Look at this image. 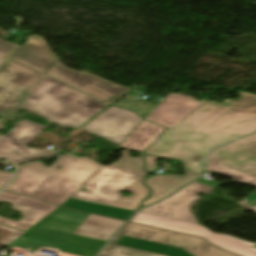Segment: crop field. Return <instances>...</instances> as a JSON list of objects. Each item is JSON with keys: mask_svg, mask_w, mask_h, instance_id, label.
I'll list each match as a JSON object with an SVG mask.
<instances>
[{"mask_svg": "<svg viewBox=\"0 0 256 256\" xmlns=\"http://www.w3.org/2000/svg\"><path fill=\"white\" fill-rule=\"evenodd\" d=\"M241 98L222 103L209 100L173 129H168L146 152L184 162L200 173L207 152L256 131V95L240 91Z\"/></svg>", "mask_w": 256, "mask_h": 256, "instance_id": "crop-field-1", "label": "crop field"}, {"mask_svg": "<svg viewBox=\"0 0 256 256\" xmlns=\"http://www.w3.org/2000/svg\"><path fill=\"white\" fill-rule=\"evenodd\" d=\"M42 38L31 36L24 47L17 45L0 67V118L12 120L30 96L27 91L47 74L108 104L130 90L68 69Z\"/></svg>", "mask_w": 256, "mask_h": 256, "instance_id": "crop-field-2", "label": "crop field"}, {"mask_svg": "<svg viewBox=\"0 0 256 256\" xmlns=\"http://www.w3.org/2000/svg\"><path fill=\"white\" fill-rule=\"evenodd\" d=\"M62 165L59 171L57 167ZM100 163L73 155L61 156L50 168L36 162L21 166L5 190L25 194L57 205L67 201L100 167ZM39 170H42L39 172Z\"/></svg>", "mask_w": 256, "mask_h": 256, "instance_id": "crop-field-3", "label": "crop field"}, {"mask_svg": "<svg viewBox=\"0 0 256 256\" xmlns=\"http://www.w3.org/2000/svg\"><path fill=\"white\" fill-rule=\"evenodd\" d=\"M98 256H236L201 238L128 223Z\"/></svg>", "mask_w": 256, "mask_h": 256, "instance_id": "crop-field-4", "label": "crop field"}, {"mask_svg": "<svg viewBox=\"0 0 256 256\" xmlns=\"http://www.w3.org/2000/svg\"><path fill=\"white\" fill-rule=\"evenodd\" d=\"M143 167L142 154L140 158H129V150L122 151L120 160L101 166L72 197L135 210L149 193L141 184L147 175ZM83 187L89 192L80 191ZM122 190H129L133 195L122 196L119 194Z\"/></svg>", "mask_w": 256, "mask_h": 256, "instance_id": "crop-field-5", "label": "crop field"}, {"mask_svg": "<svg viewBox=\"0 0 256 256\" xmlns=\"http://www.w3.org/2000/svg\"><path fill=\"white\" fill-rule=\"evenodd\" d=\"M29 92L32 94L23 108L62 127L81 126L108 106L48 76Z\"/></svg>", "mask_w": 256, "mask_h": 256, "instance_id": "crop-field-6", "label": "crop field"}, {"mask_svg": "<svg viewBox=\"0 0 256 256\" xmlns=\"http://www.w3.org/2000/svg\"><path fill=\"white\" fill-rule=\"evenodd\" d=\"M124 223L59 207L29 232L101 248Z\"/></svg>", "mask_w": 256, "mask_h": 256, "instance_id": "crop-field-7", "label": "crop field"}, {"mask_svg": "<svg viewBox=\"0 0 256 256\" xmlns=\"http://www.w3.org/2000/svg\"><path fill=\"white\" fill-rule=\"evenodd\" d=\"M131 222L196 235L199 237H203L214 245H217L220 248L231 251L233 253L242 256H256V248L234 241L219 234H215L198 224L169 219L141 212H138L131 220Z\"/></svg>", "mask_w": 256, "mask_h": 256, "instance_id": "crop-field-8", "label": "crop field"}, {"mask_svg": "<svg viewBox=\"0 0 256 256\" xmlns=\"http://www.w3.org/2000/svg\"><path fill=\"white\" fill-rule=\"evenodd\" d=\"M43 126L20 121L6 136L0 135V157L14 164L54 156L56 151L26 148L23 144L34 138ZM11 138H8V137Z\"/></svg>", "mask_w": 256, "mask_h": 256, "instance_id": "crop-field-9", "label": "crop field"}, {"mask_svg": "<svg viewBox=\"0 0 256 256\" xmlns=\"http://www.w3.org/2000/svg\"><path fill=\"white\" fill-rule=\"evenodd\" d=\"M142 120L134 112L111 106L86 126L84 125L85 127L81 130L120 144L134 131Z\"/></svg>", "mask_w": 256, "mask_h": 256, "instance_id": "crop-field-10", "label": "crop field"}, {"mask_svg": "<svg viewBox=\"0 0 256 256\" xmlns=\"http://www.w3.org/2000/svg\"><path fill=\"white\" fill-rule=\"evenodd\" d=\"M212 190L213 189L210 187L195 182L175 195L154 204L141 212L198 223L191 208L195 206V202L201 198L197 196L198 193L206 195L211 193ZM174 203H176V205H173Z\"/></svg>", "mask_w": 256, "mask_h": 256, "instance_id": "crop-field-11", "label": "crop field"}, {"mask_svg": "<svg viewBox=\"0 0 256 256\" xmlns=\"http://www.w3.org/2000/svg\"><path fill=\"white\" fill-rule=\"evenodd\" d=\"M209 160L256 176V134L216 150Z\"/></svg>", "mask_w": 256, "mask_h": 256, "instance_id": "crop-field-12", "label": "crop field"}, {"mask_svg": "<svg viewBox=\"0 0 256 256\" xmlns=\"http://www.w3.org/2000/svg\"><path fill=\"white\" fill-rule=\"evenodd\" d=\"M206 101L199 103L187 96L169 93L146 120L172 128Z\"/></svg>", "mask_w": 256, "mask_h": 256, "instance_id": "crop-field-13", "label": "crop field"}, {"mask_svg": "<svg viewBox=\"0 0 256 256\" xmlns=\"http://www.w3.org/2000/svg\"><path fill=\"white\" fill-rule=\"evenodd\" d=\"M0 201L14 204L12 208L24 214L23 219L19 222L0 217V223L24 231L30 229L33 225L58 208L57 206L5 191L0 194Z\"/></svg>", "mask_w": 256, "mask_h": 256, "instance_id": "crop-field-14", "label": "crop field"}, {"mask_svg": "<svg viewBox=\"0 0 256 256\" xmlns=\"http://www.w3.org/2000/svg\"><path fill=\"white\" fill-rule=\"evenodd\" d=\"M184 171L186 175L155 176L145 180V184L152 188V196L150 199L143 202L142 207L167 196L171 192L198 177V175L190 171Z\"/></svg>", "mask_w": 256, "mask_h": 256, "instance_id": "crop-field-15", "label": "crop field"}, {"mask_svg": "<svg viewBox=\"0 0 256 256\" xmlns=\"http://www.w3.org/2000/svg\"><path fill=\"white\" fill-rule=\"evenodd\" d=\"M165 128L143 120L120 147L144 152Z\"/></svg>", "mask_w": 256, "mask_h": 256, "instance_id": "crop-field-16", "label": "crop field"}, {"mask_svg": "<svg viewBox=\"0 0 256 256\" xmlns=\"http://www.w3.org/2000/svg\"><path fill=\"white\" fill-rule=\"evenodd\" d=\"M62 206L78 209L82 211L92 212L96 214L106 215L110 217L120 218L124 220H127L131 216V214L134 212L132 210L105 206V205L77 200L73 198H70Z\"/></svg>", "mask_w": 256, "mask_h": 256, "instance_id": "crop-field-17", "label": "crop field"}, {"mask_svg": "<svg viewBox=\"0 0 256 256\" xmlns=\"http://www.w3.org/2000/svg\"><path fill=\"white\" fill-rule=\"evenodd\" d=\"M207 171L227 175L233 177L234 181L249 184L256 187V177L245 174L243 172L222 166L220 164L208 161Z\"/></svg>", "mask_w": 256, "mask_h": 256, "instance_id": "crop-field-18", "label": "crop field"}, {"mask_svg": "<svg viewBox=\"0 0 256 256\" xmlns=\"http://www.w3.org/2000/svg\"><path fill=\"white\" fill-rule=\"evenodd\" d=\"M14 46V44L0 39V64L9 54V52L14 48Z\"/></svg>", "mask_w": 256, "mask_h": 256, "instance_id": "crop-field-19", "label": "crop field"}, {"mask_svg": "<svg viewBox=\"0 0 256 256\" xmlns=\"http://www.w3.org/2000/svg\"><path fill=\"white\" fill-rule=\"evenodd\" d=\"M1 228H5L8 229L12 232H14L13 234H11L10 236H8L7 238H5L4 240H2L0 243L9 245L10 243H12L14 240H16L19 236H21L24 232L0 225Z\"/></svg>", "mask_w": 256, "mask_h": 256, "instance_id": "crop-field-20", "label": "crop field"}, {"mask_svg": "<svg viewBox=\"0 0 256 256\" xmlns=\"http://www.w3.org/2000/svg\"><path fill=\"white\" fill-rule=\"evenodd\" d=\"M145 158H146V161H147V167H146V169H147L148 171L154 170V169L157 167L156 161H157V159H159V158H156V157H153V156H149V155H146V154H145ZM152 172H153V171H152Z\"/></svg>", "mask_w": 256, "mask_h": 256, "instance_id": "crop-field-21", "label": "crop field"}, {"mask_svg": "<svg viewBox=\"0 0 256 256\" xmlns=\"http://www.w3.org/2000/svg\"><path fill=\"white\" fill-rule=\"evenodd\" d=\"M12 173L0 171V189L12 178Z\"/></svg>", "mask_w": 256, "mask_h": 256, "instance_id": "crop-field-22", "label": "crop field"}, {"mask_svg": "<svg viewBox=\"0 0 256 256\" xmlns=\"http://www.w3.org/2000/svg\"><path fill=\"white\" fill-rule=\"evenodd\" d=\"M247 201L244 203V205L248 207H253L256 205V192L246 197Z\"/></svg>", "mask_w": 256, "mask_h": 256, "instance_id": "crop-field-23", "label": "crop field"}, {"mask_svg": "<svg viewBox=\"0 0 256 256\" xmlns=\"http://www.w3.org/2000/svg\"><path fill=\"white\" fill-rule=\"evenodd\" d=\"M221 235H224V236H227V237H229V238L235 239V240H237V241H240V242H242V243L248 244V245H250V246L254 245V243L246 242V241L241 240V239H239V238H236V237H234V236H230V235H226V234H221Z\"/></svg>", "mask_w": 256, "mask_h": 256, "instance_id": "crop-field-24", "label": "crop field"}, {"mask_svg": "<svg viewBox=\"0 0 256 256\" xmlns=\"http://www.w3.org/2000/svg\"><path fill=\"white\" fill-rule=\"evenodd\" d=\"M253 211H255L256 212V206L255 207H253V208H251Z\"/></svg>", "mask_w": 256, "mask_h": 256, "instance_id": "crop-field-25", "label": "crop field"}]
</instances>
